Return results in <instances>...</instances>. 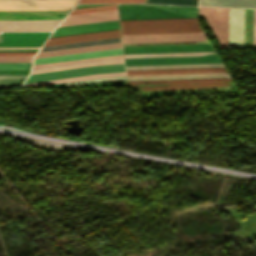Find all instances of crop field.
Here are the masks:
<instances>
[{"instance_id":"d9b57169","label":"crop field","mask_w":256,"mask_h":256,"mask_svg":"<svg viewBox=\"0 0 256 256\" xmlns=\"http://www.w3.org/2000/svg\"><path fill=\"white\" fill-rule=\"evenodd\" d=\"M118 54H122V48L103 50V51H95V52H87V53H79V54H71V55H63V56H55V57H47V58H39V59L34 60L33 65L61 62V61H69V60H77V59L94 58V57H102V56H110V55H118Z\"/></svg>"},{"instance_id":"730fd06b","label":"crop field","mask_w":256,"mask_h":256,"mask_svg":"<svg viewBox=\"0 0 256 256\" xmlns=\"http://www.w3.org/2000/svg\"><path fill=\"white\" fill-rule=\"evenodd\" d=\"M117 9L116 4L73 9L69 15Z\"/></svg>"},{"instance_id":"34b2d1b8","label":"crop field","mask_w":256,"mask_h":256,"mask_svg":"<svg viewBox=\"0 0 256 256\" xmlns=\"http://www.w3.org/2000/svg\"><path fill=\"white\" fill-rule=\"evenodd\" d=\"M78 0L0 1V11L71 10Z\"/></svg>"},{"instance_id":"5a996713","label":"crop field","mask_w":256,"mask_h":256,"mask_svg":"<svg viewBox=\"0 0 256 256\" xmlns=\"http://www.w3.org/2000/svg\"><path fill=\"white\" fill-rule=\"evenodd\" d=\"M51 32L3 33L0 47L41 46Z\"/></svg>"},{"instance_id":"1d83c4d3","label":"crop field","mask_w":256,"mask_h":256,"mask_svg":"<svg viewBox=\"0 0 256 256\" xmlns=\"http://www.w3.org/2000/svg\"><path fill=\"white\" fill-rule=\"evenodd\" d=\"M55 27L0 28V31L53 30Z\"/></svg>"},{"instance_id":"a9b5d70f","label":"crop field","mask_w":256,"mask_h":256,"mask_svg":"<svg viewBox=\"0 0 256 256\" xmlns=\"http://www.w3.org/2000/svg\"><path fill=\"white\" fill-rule=\"evenodd\" d=\"M116 63H123V61L122 60H114V61L89 62V63H81V64H74V65L44 68V69H36V70H32L31 74L40 73V72H47V71H54V70H61V69L83 67V66H90V65L116 64Z\"/></svg>"},{"instance_id":"ae1a2a85","label":"crop field","mask_w":256,"mask_h":256,"mask_svg":"<svg viewBox=\"0 0 256 256\" xmlns=\"http://www.w3.org/2000/svg\"><path fill=\"white\" fill-rule=\"evenodd\" d=\"M146 2L197 5L198 0H146Z\"/></svg>"},{"instance_id":"3316defc","label":"crop field","mask_w":256,"mask_h":256,"mask_svg":"<svg viewBox=\"0 0 256 256\" xmlns=\"http://www.w3.org/2000/svg\"><path fill=\"white\" fill-rule=\"evenodd\" d=\"M244 9L229 8L228 47L243 48Z\"/></svg>"},{"instance_id":"03da06ac","label":"crop field","mask_w":256,"mask_h":256,"mask_svg":"<svg viewBox=\"0 0 256 256\" xmlns=\"http://www.w3.org/2000/svg\"><path fill=\"white\" fill-rule=\"evenodd\" d=\"M0 82H21V81H0Z\"/></svg>"},{"instance_id":"d8731c3e","label":"crop field","mask_w":256,"mask_h":256,"mask_svg":"<svg viewBox=\"0 0 256 256\" xmlns=\"http://www.w3.org/2000/svg\"><path fill=\"white\" fill-rule=\"evenodd\" d=\"M125 54L213 51L210 44L124 47Z\"/></svg>"},{"instance_id":"5142ce71","label":"crop field","mask_w":256,"mask_h":256,"mask_svg":"<svg viewBox=\"0 0 256 256\" xmlns=\"http://www.w3.org/2000/svg\"><path fill=\"white\" fill-rule=\"evenodd\" d=\"M118 19L117 10L67 16L61 26L77 25Z\"/></svg>"},{"instance_id":"e52e79f7","label":"crop field","mask_w":256,"mask_h":256,"mask_svg":"<svg viewBox=\"0 0 256 256\" xmlns=\"http://www.w3.org/2000/svg\"><path fill=\"white\" fill-rule=\"evenodd\" d=\"M125 66L221 62L217 54L203 57L124 59Z\"/></svg>"},{"instance_id":"4a817a6b","label":"crop field","mask_w":256,"mask_h":256,"mask_svg":"<svg viewBox=\"0 0 256 256\" xmlns=\"http://www.w3.org/2000/svg\"><path fill=\"white\" fill-rule=\"evenodd\" d=\"M61 20L0 21V27L57 26Z\"/></svg>"},{"instance_id":"d32e631a","label":"crop field","mask_w":256,"mask_h":256,"mask_svg":"<svg viewBox=\"0 0 256 256\" xmlns=\"http://www.w3.org/2000/svg\"><path fill=\"white\" fill-rule=\"evenodd\" d=\"M29 70H0V75H28Z\"/></svg>"},{"instance_id":"22f410ed","label":"crop field","mask_w":256,"mask_h":256,"mask_svg":"<svg viewBox=\"0 0 256 256\" xmlns=\"http://www.w3.org/2000/svg\"><path fill=\"white\" fill-rule=\"evenodd\" d=\"M69 11H21L0 12V20L15 19H63Z\"/></svg>"},{"instance_id":"5866460e","label":"crop field","mask_w":256,"mask_h":256,"mask_svg":"<svg viewBox=\"0 0 256 256\" xmlns=\"http://www.w3.org/2000/svg\"><path fill=\"white\" fill-rule=\"evenodd\" d=\"M35 52H3L0 56L4 55H34Z\"/></svg>"},{"instance_id":"8a807250","label":"crop field","mask_w":256,"mask_h":256,"mask_svg":"<svg viewBox=\"0 0 256 256\" xmlns=\"http://www.w3.org/2000/svg\"><path fill=\"white\" fill-rule=\"evenodd\" d=\"M122 34L203 32L197 18L120 21Z\"/></svg>"},{"instance_id":"bd1437ed","label":"crop field","mask_w":256,"mask_h":256,"mask_svg":"<svg viewBox=\"0 0 256 256\" xmlns=\"http://www.w3.org/2000/svg\"><path fill=\"white\" fill-rule=\"evenodd\" d=\"M115 58H123V56H122V55H118V56H110V57H102V58H94V59L78 60V61H69V62H61V63H53V64L37 65V66H33L32 68H36V67H44V66H51V65H59V64H66V63H74V62H81V61H89V60L115 59Z\"/></svg>"},{"instance_id":"c21b1889","label":"crop field","mask_w":256,"mask_h":256,"mask_svg":"<svg viewBox=\"0 0 256 256\" xmlns=\"http://www.w3.org/2000/svg\"><path fill=\"white\" fill-rule=\"evenodd\" d=\"M0 80H24V79H0Z\"/></svg>"},{"instance_id":"cbeb9de0","label":"crop field","mask_w":256,"mask_h":256,"mask_svg":"<svg viewBox=\"0 0 256 256\" xmlns=\"http://www.w3.org/2000/svg\"><path fill=\"white\" fill-rule=\"evenodd\" d=\"M231 77L229 72L127 76L128 81Z\"/></svg>"},{"instance_id":"dafd665d","label":"crop field","mask_w":256,"mask_h":256,"mask_svg":"<svg viewBox=\"0 0 256 256\" xmlns=\"http://www.w3.org/2000/svg\"><path fill=\"white\" fill-rule=\"evenodd\" d=\"M118 75H126V73L118 72V73L92 74V75L70 77V78H63V79H56V80H49V81H42V82L27 83V84L47 85V84L61 83V82H67V81H76V80H84V79L107 77V76H118Z\"/></svg>"},{"instance_id":"750c4746","label":"crop field","mask_w":256,"mask_h":256,"mask_svg":"<svg viewBox=\"0 0 256 256\" xmlns=\"http://www.w3.org/2000/svg\"><path fill=\"white\" fill-rule=\"evenodd\" d=\"M31 63H0V69H30Z\"/></svg>"},{"instance_id":"00972430","label":"crop field","mask_w":256,"mask_h":256,"mask_svg":"<svg viewBox=\"0 0 256 256\" xmlns=\"http://www.w3.org/2000/svg\"><path fill=\"white\" fill-rule=\"evenodd\" d=\"M213 66H224V64L223 63H210V64H186V65L137 66V67H125V68H126V70H138V69L213 67Z\"/></svg>"},{"instance_id":"120bbe31","label":"crop field","mask_w":256,"mask_h":256,"mask_svg":"<svg viewBox=\"0 0 256 256\" xmlns=\"http://www.w3.org/2000/svg\"><path fill=\"white\" fill-rule=\"evenodd\" d=\"M144 2V0H81L80 3Z\"/></svg>"},{"instance_id":"eef30255","label":"crop field","mask_w":256,"mask_h":256,"mask_svg":"<svg viewBox=\"0 0 256 256\" xmlns=\"http://www.w3.org/2000/svg\"><path fill=\"white\" fill-rule=\"evenodd\" d=\"M207 53H211V52L125 55V58H134V57H150V56L203 55V54H207Z\"/></svg>"},{"instance_id":"214f88e0","label":"crop field","mask_w":256,"mask_h":256,"mask_svg":"<svg viewBox=\"0 0 256 256\" xmlns=\"http://www.w3.org/2000/svg\"><path fill=\"white\" fill-rule=\"evenodd\" d=\"M199 5L256 7V0H200Z\"/></svg>"},{"instance_id":"733c2abd","label":"crop field","mask_w":256,"mask_h":256,"mask_svg":"<svg viewBox=\"0 0 256 256\" xmlns=\"http://www.w3.org/2000/svg\"><path fill=\"white\" fill-rule=\"evenodd\" d=\"M216 71H227V69L226 67H213V68L138 70V71H126V73L127 75H139V74H165V73L216 72Z\"/></svg>"},{"instance_id":"ac0d7876","label":"crop field","mask_w":256,"mask_h":256,"mask_svg":"<svg viewBox=\"0 0 256 256\" xmlns=\"http://www.w3.org/2000/svg\"><path fill=\"white\" fill-rule=\"evenodd\" d=\"M120 20L197 17V7L118 4Z\"/></svg>"},{"instance_id":"b54c1fbb","label":"crop field","mask_w":256,"mask_h":256,"mask_svg":"<svg viewBox=\"0 0 256 256\" xmlns=\"http://www.w3.org/2000/svg\"><path fill=\"white\" fill-rule=\"evenodd\" d=\"M1 87H6V86H0V88H1Z\"/></svg>"},{"instance_id":"bc2a9ffb","label":"crop field","mask_w":256,"mask_h":256,"mask_svg":"<svg viewBox=\"0 0 256 256\" xmlns=\"http://www.w3.org/2000/svg\"><path fill=\"white\" fill-rule=\"evenodd\" d=\"M118 47H122L121 43L84 47V48H76V49H68V50L51 51V52H43V53H38L35 56V58L54 56V55H62V54H70V53H78V52H86V51H94V50H102V49H110V48H118Z\"/></svg>"},{"instance_id":"4177f3b9","label":"crop field","mask_w":256,"mask_h":256,"mask_svg":"<svg viewBox=\"0 0 256 256\" xmlns=\"http://www.w3.org/2000/svg\"><path fill=\"white\" fill-rule=\"evenodd\" d=\"M119 80H126V76L107 77V78H99V79H92V80L76 81V82L62 83V85H63V87H67V86H75V85L107 82V81H119Z\"/></svg>"},{"instance_id":"b80d0937","label":"crop field","mask_w":256,"mask_h":256,"mask_svg":"<svg viewBox=\"0 0 256 256\" xmlns=\"http://www.w3.org/2000/svg\"><path fill=\"white\" fill-rule=\"evenodd\" d=\"M21 83H0V85H19Z\"/></svg>"},{"instance_id":"92a150f3","label":"crop field","mask_w":256,"mask_h":256,"mask_svg":"<svg viewBox=\"0 0 256 256\" xmlns=\"http://www.w3.org/2000/svg\"><path fill=\"white\" fill-rule=\"evenodd\" d=\"M121 42L120 38L42 47L40 52Z\"/></svg>"},{"instance_id":"f4fd0767","label":"crop field","mask_w":256,"mask_h":256,"mask_svg":"<svg viewBox=\"0 0 256 256\" xmlns=\"http://www.w3.org/2000/svg\"><path fill=\"white\" fill-rule=\"evenodd\" d=\"M118 71H125L123 64L90 66V67H83V68H76V69H69V70H62V71L33 74V75H29L25 83L77 76V75L92 74V73L118 72Z\"/></svg>"},{"instance_id":"dd49c442","label":"crop field","mask_w":256,"mask_h":256,"mask_svg":"<svg viewBox=\"0 0 256 256\" xmlns=\"http://www.w3.org/2000/svg\"><path fill=\"white\" fill-rule=\"evenodd\" d=\"M123 43L207 40L204 33L122 35Z\"/></svg>"},{"instance_id":"0bd39190","label":"crop field","mask_w":256,"mask_h":256,"mask_svg":"<svg viewBox=\"0 0 256 256\" xmlns=\"http://www.w3.org/2000/svg\"><path fill=\"white\" fill-rule=\"evenodd\" d=\"M0 78H26V76H0Z\"/></svg>"},{"instance_id":"28ad6ade","label":"crop field","mask_w":256,"mask_h":256,"mask_svg":"<svg viewBox=\"0 0 256 256\" xmlns=\"http://www.w3.org/2000/svg\"><path fill=\"white\" fill-rule=\"evenodd\" d=\"M119 29L118 20L57 28L50 37Z\"/></svg>"},{"instance_id":"d3111659","label":"crop field","mask_w":256,"mask_h":256,"mask_svg":"<svg viewBox=\"0 0 256 256\" xmlns=\"http://www.w3.org/2000/svg\"><path fill=\"white\" fill-rule=\"evenodd\" d=\"M33 56H7L0 57V62H31Z\"/></svg>"},{"instance_id":"d1516ede","label":"crop field","mask_w":256,"mask_h":256,"mask_svg":"<svg viewBox=\"0 0 256 256\" xmlns=\"http://www.w3.org/2000/svg\"><path fill=\"white\" fill-rule=\"evenodd\" d=\"M120 37L119 30L48 38L44 46Z\"/></svg>"},{"instance_id":"028f5c9d","label":"crop field","mask_w":256,"mask_h":256,"mask_svg":"<svg viewBox=\"0 0 256 256\" xmlns=\"http://www.w3.org/2000/svg\"><path fill=\"white\" fill-rule=\"evenodd\" d=\"M253 47H256V9H254Z\"/></svg>"},{"instance_id":"e1f06a70","label":"crop field","mask_w":256,"mask_h":256,"mask_svg":"<svg viewBox=\"0 0 256 256\" xmlns=\"http://www.w3.org/2000/svg\"><path fill=\"white\" fill-rule=\"evenodd\" d=\"M0 51H37V49H5Z\"/></svg>"},{"instance_id":"c035e120","label":"crop field","mask_w":256,"mask_h":256,"mask_svg":"<svg viewBox=\"0 0 256 256\" xmlns=\"http://www.w3.org/2000/svg\"><path fill=\"white\" fill-rule=\"evenodd\" d=\"M6 48H39V47H6ZM0 49H4V48H0Z\"/></svg>"},{"instance_id":"412701ff","label":"crop field","mask_w":256,"mask_h":256,"mask_svg":"<svg viewBox=\"0 0 256 256\" xmlns=\"http://www.w3.org/2000/svg\"><path fill=\"white\" fill-rule=\"evenodd\" d=\"M199 15H204L221 49L227 47L228 8L199 7Z\"/></svg>"}]
</instances>
